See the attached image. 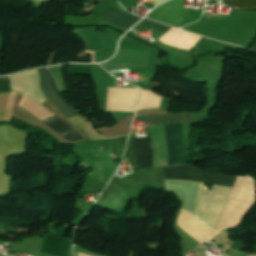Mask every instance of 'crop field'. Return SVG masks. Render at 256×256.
I'll return each mask as SVG.
<instances>
[{"instance_id": "4", "label": "crop field", "mask_w": 256, "mask_h": 256, "mask_svg": "<svg viewBox=\"0 0 256 256\" xmlns=\"http://www.w3.org/2000/svg\"><path fill=\"white\" fill-rule=\"evenodd\" d=\"M186 0H171L157 8L152 19L171 26H180L188 17L191 10L185 9Z\"/></svg>"}, {"instance_id": "6", "label": "crop field", "mask_w": 256, "mask_h": 256, "mask_svg": "<svg viewBox=\"0 0 256 256\" xmlns=\"http://www.w3.org/2000/svg\"><path fill=\"white\" fill-rule=\"evenodd\" d=\"M140 19L141 18L138 16L128 14L124 11H121L112 7L105 8L100 17V20H103L127 29H129L134 24H136Z\"/></svg>"}, {"instance_id": "3", "label": "crop field", "mask_w": 256, "mask_h": 256, "mask_svg": "<svg viewBox=\"0 0 256 256\" xmlns=\"http://www.w3.org/2000/svg\"><path fill=\"white\" fill-rule=\"evenodd\" d=\"M165 179L200 181L209 184L223 185L232 187L236 178L233 176H224L209 174L196 169L191 165H182L176 167L163 168Z\"/></svg>"}, {"instance_id": "8", "label": "crop field", "mask_w": 256, "mask_h": 256, "mask_svg": "<svg viewBox=\"0 0 256 256\" xmlns=\"http://www.w3.org/2000/svg\"><path fill=\"white\" fill-rule=\"evenodd\" d=\"M222 2L240 6V10H256V0H224Z\"/></svg>"}, {"instance_id": "9", "label": "crop field", "mask_w": 256, "mask_h": 256, "mask_svg": "<svg viewBox=\"0 0 256 256\" xmlns=\"http://www.w3.org/2000/svg\"><path fill=\"white\" fill-rule=\"evenodd\" d=\"M140 24L148 26V27L153 28L155 30L161 31L163 33H165L167 30L170 29V27H168V26H165V25H162L160 23H157V22H154V21H151V20H147V19H144L143 21H141Z\"/></svg>"}, {"instance_id": "1", "label": "crop field", "mask_w": 256, "mask_h": 256, "mask_svg": "<svg viewBox=\"0 0 256 256\" xmlns=\"http://www.w3.org/2000/svg\"><path fill=\"white\" fill-rule=\"evenodd\" d=\"M170 166L185 164L186 138L182 124L166 125ZM131 148L140 168L153 167L150 137L132 138Z\"/></svg>"}, {"instance_id": "10", "label": "crop field", "mask_w": 256, "mask_h": 256, "mask_svg": "<svg viewBox=\"0 0 256 256\" xmlns=\"http://www.w3.org/2000/svg\"><path fill=\"white\" fill-rule=\"evenodd\" d=\"M0 92H11L9 76L0 77Z\"/></svg>"}, {"instance_id": "7", "label": "crop field", "mask_w": 256, "mask_h": 256, "mask_svg": "<svg viewBox=\"0 0 256 256\" xmlns=\"http://www.w3.org/2000/svg\"><path fill=\"white\" fill-rule=\"evenodd\" d=\"M151 123L187 120L185 114L147 115Z\"/></svg>"}, {"instance_id": "2", "label": "crop field", "mask_w": 256, "mask_h": 256, "mask_svg": "<svg viewBox=\"0 0 256 256\" xmlns=\"http://www.w3.org/2000/svg\"><path fill=\"white\" fill-rule=\"evenodd\" d=\"M42 79V88L47 94L48 98L54 103V105L64 113L68 118L79 115L74 111L62 98L55 81L53 80L51 74L47 69H39ZM49 127L59 133L69 142L83 140L78 133H76L72 128H70L66 123H64L57 116L44 120Z\"/></svg>"}, {"instance_id": "5", "label": "crop field", "mask_w": 256, "mask_h": 256, "mask_svg": "<svg viewBox=\"0 0 256 256\" xmlns=\"http://www.w3.org/2000/svg\"><path fill=\"white\" fill-rule=\"evenodd\" d=\"M67 227H61L54 233L47 234L40 252L55 256H67L71 243V240L64 239Z\"/></svg>"}]
</instances>
